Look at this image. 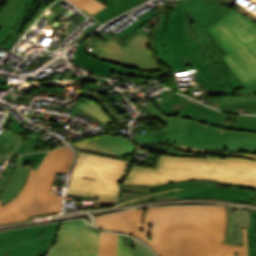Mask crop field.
<instances>
[{
  "instance_id": "obj_13",
  "label": "crop field",
  "mask_w": 256,
  "mask_h": 256,
  "mask_svg": "<svg viewBox=\"0 0 256 256\" xmlns=\"http://www.w3.org/2000/svg\"><path fill=\"white\" fill-rule=\"evenodd\" d=\"M86 41H84L74 52V61L77 65L81 67L88 68L92 70L90 73L103 76L110 77L111 73L119 74V75H127L140 79H155L162 78L163 76L168 74L167 70L161 72H153V73H143L132 71L128 69H124L118 66H114L102 61H99L89 55L86 54L85 48Z\"/></svg>"
},
{
  "instance_id": "obj_7",
  "label": "crop field",
  "mask_w": 256,
  "mask_h": 256,
  "mask_svg": "<svg viewBox=\"0 0 256 256\" xmlns=\"http://www.w3.org/2000/svg\"><path fill=\"white\" fill-rule=\"evenodd\" d=\"M217 182L185 181L155 187L121 185L119 205L147 201L154 197L160 201L175 199H212L256 203V192L216 187Z\"/></svg>"
},
{
  "instance_id": "obj_1",
  "label": "crop field",
  "mask_w": 256,
  "mask_h": 256,
  "mask_svg": "<svg viewBox=\"0 0 256 256\" xmlns=\"http://www.w3.org/2000/svg\"><path fill=\"white\" fill-rule=\"evenodd\" d=\"M94 220L103 229L146 241L158 256H247L246 228L242 247L222 244L227 227L226 206L146 207Z\"/></svg>"
},
{
  "instance_id": "obj_38",
  "label": "crop field",
  "mask_w": 256,
  "mask_h": 256,
  "mask_svg": "<svg viewBox=\"0 0 256 256\" xmlns=\"http://www.w3.org/2000/svg\"><path fill=\"white\" fill-rule=\"evenodd\" d=\"M122 79L130 80V81H135V82H139V83H147V80H140V79H136V78H132V77H127V76H123Z\"/></svg>"
},
{
  "instance_id": "obj_35",
  "label": "crop field",
  "mask_w": 256,
  "mask_h": 256,
  "mask_svg": "<svg viewBox=\"0 0 256 256\" xmlns=\"http://www.w3.org/2000/svg\"><path fill=\"white\" fill-rule=\"evenodd\" d=\"M83 1L87 2L88 4L94 6L95 8H97L99 10L106 7L103 4L99 3L97 0H83Z\"/></svg>"
},
{
  "instance_id": "obj_30",
  "label": "crop field",
  "mask_w": 256,
  "mask_h": 256,
  "mask_svg": "<svg viewBox=\"0 0 256 256\" xmlns=\"http://www.w3.org/2000/svg\"><path fill=\"white\" fill-rule=\"evenodd\" d=\"M14 171L1 169L0 171V195Z\"/></svg>"
},
{
  "instance_id": "obj_8",
  "label": "crop field",
  "mask_w": 256,
  "mask_h": 256,
  "mask_svg": "<svg viewBox=\"0 0 256 256\" xmlns=\"http://www.w3.org/2000/svg\"><path fill=\"white\" fill-rule=\"evenodd\" d=\"M77 152V151H76ZM68 194L117 199L119 184L130 162L77 152Z\"/></svg>"
},
{
  "instance_id": "obj_4",
  "label": "crop field",
  "mask_w": 256,
  "mask_h": 256,
  "mask_svg": "<svg viewBox=\"0 0 256 256\" xmlns=\"http://www.w3.org/2000/svg\"><path fill=\"white\" fill-rule=\"evenodd\" d=\"M154 50L173 72L198 70L227 53L208 28L193 23L172 5L166 7L157 23Z\"/></svg>"
},
{
  "instance_id": "obj_32",
  "label": "crop field",
  "mask_w": 256,
  "mask_h": 256,
  "mask_svg": "<svg viewBox=\"0 0 256 256\" xmlns=\"http://www.w3.org/2000/svg\"><path fill=\"white\" fill-rule=\"evenodd\" d=\"M136 252L140 253L143 256H154L143 244L132 239Z\"/></svg>"
},
{
  "instance_id": "obj_12",
  "label": "crop field",
  "mask_w": 256,
  "mask_h": 256,
  "mask_svg": "<svg viewBox=\"0 0 256 256\" xmlns=\"http://www.w3.org/2000/svg\"><path fill=\"white\" fill-rule=\"evenodd\" d=\"M194 75L203 93L210 97L229 96L246 88L222 59L204 66Z\"/></svg>"
},
{
  "instance_id": "obj_16",
  "label": "crop field",
  "mask_w": 256,
  "mask_h": 256,
  "mask_svg": "<svg viewBox=\"0 0 256 256\" xmlns=\"http://www.w3.org/2000/svg\"><path fill=\"white\" fill-rule=\"evenodd\" d=\"M169 4L177 5L189 19L206 27L216 23L226 14L205 0H182Z\"/></svg>"
},
{
  "instance_id": "obj_34",
  "label": "crop field",
  "mask_w": 256,
  "mask_h": 256,
  "mask_svg": "<svg viewBox=\"0 0 256 256\" xmlns=\"http://www.w3.org/2000/svg\"><path fill=\"white\" fill-rule=\"evenodd\" d=\"M237 3L238 0H233ZM236 11L246 15L247 17L251 18L252 20L256 21V16L251 14L250 12L246 11L245 9L241 8L240 5L234 8Z\"/></svg>"
},
{
  "instance_id": "obj_17",
  "label": "crop field",
  "mask_w": 256,
  "mask_h": 256,
  "mask_svg": "<svg viewBox=\"0 0 256 256\" xmlns=\"http://www.w3.org/2000/svg\"><path fill=\"white\" fill-rule=\"evenodd\" d=\"M150 105L143 106L150 111L151 115L157 117L160 121H165L167 126L163 129L162 133L167 134L160 144L180 146L184 136L192 121L178 118L164 116L160 110L153 104L151 99L146 100ZM142 106V105H141Z\"/></svg>"
},
{
  "instance_id": "obj_28",
  "label": "crop field",
  "mask_w": 256,
  "mask_h": 256,
  "mask_svg": "<svg viewBox=\"0 0 256 256\" xmlns=\"http://www.w3.org/2000/svg\"><path fill=\"white\" fill-rule=\"evenodd\" d=\"M46 154L47 152L32 153V154L24 155L22 157L24 162H36L35 166L32 167V169L37 170L40 162L43 160Z\"/></svg>"
},
{
  "instance_id": "obj_10",
  "label": "crop field",
  "mask_w": 256,
  "mask_h": 256,
  "mask_svg": "<svg viewBox=\"0 0 256 256\" xmlns=\"http://www.w3.org/2000/svg\"><path fill=\"white\" fill-rule=\"evenodd\" d=\"M99 236V231L86 226L82 220L64 222L48 256H97ZM124 239L131 238L119 235L116 256H132L124 244Z\"/></svg>"
},
{
  "instance_id": "obj_29",
  "label": "crop field",
  "mask_w": 256,
  "mask_h": 256,
  "mask_svg": "<svg viewBox=\"0 0 256 256\" xmlns=\"http://www.w3.org/2000/svg\"><path fill=\"white\" fill-rule=\"evenodd\" d=\"M250 232L252 237V248H253L252 256H256V213H251Z\"/></svg>"
},
{
  "instance_id": "obj_5",
  "label": "crop field",
  "mask_w": 256,
  "mask_h": 256,
  "mask_svg": "<svg viewBox=\"0 0 256 256\" xmlns=\"http://www.w3.org/2000/svg\"><path fill=\"white\" fill-rule=\"evenodd\" d=\"M73 156L67 146L48 152L38 170H30L20 193L4 206L0 201V224L23 221L36 214L59 212L63 197L51 196L53 180L56 171L68 172Z\"/></svg>"
},
{
  "instance_id": "obj_25",
  "label": "crop field",
  "mask_w": 256,
  "mask_h": 256,
  "mask_svg": "<svg viewBox=\"0 0 256 256\" xmlns=\"http://www.w3.org/2000/svg\"><path fill=\"white\" fill-rule=\"evenodd\" d=\"M118 235L101 232L98 256H115Z\"/></svg>"
},
{
  "instance_id": "obj_18",
  "label": "crop field",
  "mask_w": 256,
  "mask_h": 256,
  "mask_svg": "<svg viewBox=\"0 0 256 256\" xmlns=\"http://www.w3.org/2000/svg\"><path fill=\"white\" fill-rule=\"evenodd\" d=\"M211 100L216 108L256 113V84L232 96Z\"/></svg>"
},
{
  "instance_id": "obj_37",
  "label": "crop field",
  "mask_w": 256,
  "mask_h": 256,
  "mask_svg": "<svg viewBox=\"0 0 256 256\" xmlns=\"http://www.w3.org/2000/svg\"><path fill=\"white\" fill-rule=\"evenodd\" d=\"M247 241H248V256H251L252 248H251V238H250L249 228H247Z\"/></svg>"
},
{
  "instance_id": "obj_2",
  "label": "crop field",
  "mask_w": 256,
  "mask_h": 256,
  "mask_svg": "<svg viewBox=\"0 0 256 256\" xmlns=\"http://www.w3.org/2000/svg\"><path fill=\"white\" fill-rule=\"evenodd\" d=\"M179 150L207 154V159L162 154L156 169L133 166L123 184L155 186L175 181L209 180L256 188L255 154L214 152L183 145Z\"/></svg>"
},
{
  "instance_id": "obj_27",
  "label": "crop field",
  "mask_w": 256,
  "mask_h": 256,
  "mask_svg": "<svg viewBox=\"0 0 256 256\" xmlns=\"http://www.w3.org/2000/svg\"><path fill=\"white\" fill-rule=\"evenodd\" d=\"M156 13L157 12H153V11L150 10L148 13H146L142 18H140L138 21H136L134 24H132L126 30H124L123 32L117 34V36L122 39L124 36H127L129 33L134 31L137 27L142 25L144 22H146L148 19H150Z\"/></svg>"
},
{
  "instance_id": "obj_3",
  "label": "crop field",
  "mask_w": 256,
  "mask_h": 256,
  "mask_svg": "<svg viewBox=\"0 0 256 256\" xmlns=\"http://www.w3.org/2000/svg\"><path fill=\"white\" fill-rule=\"evenodd\" d=\"M157 107L167 116L193 120L183 145L215 151L256 153V117L239 115L235 124L228 114L214 111L177 93Z\"/></svg>"
},
{
  "instance_id": "obj_23",
  "label": "crop field",
  "mask_w": 256,
  "mask_h": 256,
  "mask_svg": "<svg viewBox=\"0 0 256 256\" xmlns=\"http://www.w3.org/2000/svg\"><path fill=\"white\" fill-rule=\"evenodd\" d=\"M81 97L92 99L100 104L105 110L108 116H110L120 127L126 123H129L126 118L119 114L112 106H110L105 99L101 97L100 93L84 90Z\"/></svg>"
},
{
  "instance_id": "obj_19",
  "label": "crop field",
  "mask_w": 256,
  "mask_h": 256,
  "mask_svg": "<svg viewBox=\"0 0 256 256\" xmlns=\"http://www.w3.org/2000/svg\"><path fill=\"white\" fill-rule=\"evenodd\" d=\"M164 136H165L164 134L146 130L144 136L133 135V141L138 145V147L148 149L151 151H155V152H159V153L176 155V156H190V157L206 158V155L179 152V151H177L178 147L160 145L159 143L164 138Z\"/></svg>"
},
{
  "instance_id": "obj_6",
  "label": "crop field",
  "mask_w": 256,
  "mask_h": 256,
  "mask_svg": "<svg viewBox=\"0 0 256 256\" xmlns=\"http://www.w3.org/2000/svg\"><path fill=\"white\" fill-rule=\"evenodd\" d=\"M210 31L228 52L222 58L247 87L256 82V23L231 10Z\"/></svg>"
},
{
  "instance_id": "obj_11",
  "label": "crop field",
  "mask_w": 256,
  "mask_h": 256,
  "mask_svg": "<svg viewBox=\"0 0 256 256\" xmlns=\"http://www.w3.org/2000/svg\"><path fill=\"white\" fill-rule=\"evenodd\" d=\"M58 226L59 223L0 232V256H45Z\"/></svg>"
},
{
  "instance_id": "obj_9",
  "label": "crop field",
  "mask_w": 256,
  "mask_h": 256,
  "mask_svg": "<svg viewBox=\"0 0 256 256\" xmlns=\"http://www.w3.org/2000/svg\"><path fill=\"white\" fill-rule=\"evenodd\" d=\"M149 36L143 34L137 29L122 39L126 42L121 46L113 38L103 42L100 39L94 43V46L101 53L94 57L121 67L143 72L161 71L164 68L158 66L148 50Z\"/></svg>"
},
{
  "instance_id": "obj_33",
  "label": "crop field",
  "mask_w": 256,
  "mask_h": 256,
  "mask_svg": "<svg viewBox=\"0 0 256 256\" xmlns=\"http://www.w3.org/2000/svg\"><path fill=\"white\" fill-rule=\"evenodd\" d=\"M117 200H97L98 202V209L105 208V207H112L116 205Z\"/></svg>"
},
{
  "instance_id": "obj_36",
  "label": "crop field",
  "mask_w": 256,
  "mask_h": 256,
  "mask_svg": "<svg viewBox=\"0 0 256 256\" xmlns=\"http://www.w3.org/2000/svg\"><path fill=\"white\" fill-rule=\"evenodd\" d=\"M126 246L128 247V249L131 251V253L133 254V256H141L138 253L135 252L132 241L131 240H125ZM126 247V248H127Z\"/></svg>"
},
{
  "instance_id": "obj_21",
  "label": "crop field",
  "mask_w": 256,
  "mask_h": 256,
  "mask_svg": "<svg viewBox=\"0 0 256 256\" xmlns=\"http://www.w3.org/2000/svg\"><path fill=\"white\" fill-rule=\"evenodd\" d=\"M22 165H23L22 157L18 156L15 172L12 178L10 179L7 187L5 188L2 195L0 196V200H2V205L6 204L12 198H14L18 194V192L21 190L22 186L24 185L29 173V169L22 168Z\"/></svg>"
},
{
  "instance_id": "obj_14",
  "label": "crop field",
  "mask_w": 256,
  "mask_h": 256,
  "mask_svg": "<svg viewBox=\"0 0 256 256\" xmlns=\"http://www.w3.org/2000/svg\"><path fill=\"white\" fill-rule=\"evenodd\" d=\"M74 149L93 153L107 154L122 158L124 154L132 155L135 146L120 136L102 135L100 137L71 144Z\"/></svg>"
},
{
  "instance_id": "obj_24",
  "label": "crop field",
  "mask_w": 256,
  "mask_h": 256,
  "mask_svg": "<svg viewBox=\"0 0 256 256\" xmlns=\"http://www.w3.org/2000/svg\"><path fill=\"white\" fill-rule=\"evenodd\" d=\"M82 101L86 102H80L77 104L76 109L85 111L86 113H88L89 115L95 117L96 119H98L100 122H102L103 124H107L111 121H113L111 118H109L106 113L104 112V110L99 106V104L91 101V100H87V99H81Z\"/></svg>"
},
{
  "instance_id": "obj_31",
  "label": "crop field",
  "mask_w": 256,
  "mask_h": 256,
  "mask_svg": "<svg viewBox=\"0 0 256 256\" xmlns=\"http://www.w3.org/2000/svg\"><path fill=\"white\" fill-rule=\"evenodd\" d=\"M68 1L77 5L82 10H84L92 15L95 14L97 11H99V10L93 8L92 6L88 5L87 3L83 2L82 0H68Z\"/></svg>"
},
{
  "instance_id": "obj_22",
  "label": "crop field",
  "mask_w": 256,
  "mask_h": 256,
  "mask_svg": "<svg viewBox=\"0 0 256 256\" xmlns=\"http://www.w3.org/2000/svg\"><path fill=\"white\" fill-rule=\"evenodd\" d=\"M24 136L4 130L0 133V158L16 154Z\"/></svg>"
},
{
  "instance_id": "obj_26",
  "label": "crop field",
  "mask_w": 256,
  "mask_h": 256,
  "mask_svg": "<svg viewBox=\"0 0 256 256\" xmlns=\"http://www.w3.org/2000/svg\"><path fill=\"white\" fill-rule=\"evenodd\" d=\"M22 0H10L4 9L0 11V27L4 28L13 15L20 9Z\"/></svg>"
},
{
  "instance_id": "obj_15",
  "label": "crop field",
  "mask_w": 256,
  "mask_h": 256,
  "mask_svg": "<svg viewBox=\"0 0 256 256\" xmlns=\"http://www.w3.org/2000/svg\"><path fill=\"white\" fill-rule=\"evenodd\" d=\"M39 6V0H24L21 9L13 16L5 30L0 32V47L9 51L20 37L25 25Z\"/></svg>"
},
{
  "instance_id": "obj_20",
  "label": "crop field",
  "mask_w": 256,
  "mask_h": 256,
  "mask_svg": "<svg viewBox=\"0 0 256 256\" xmlns=\"http://www.w3.org/2000/svg\"><path fill=\"white\" fill-rule=\"evenodd\" d=\"M108 7L100 10L92 17L96 18L101 24L128 9L146 1V0H98Z\"/></svg>"
}]
</instances>
